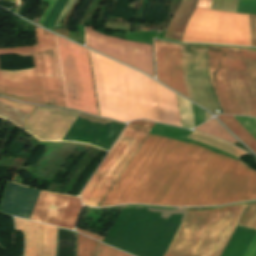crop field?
<instances>
[{
    "label": "crop field",
    "mask_w": 256,
    "mask_h": 256,
    "mask_svg": "<svg viewBox=\"0 0 256 256\" xmlns=\"http://www.w3.org/2000/svg\"><path fill=\"white\" fill-rule=\"evenodd\" d=\"M199 140L237 157L243 150L194 132ZM256 199V171L193 144L162 137L118 204L209 206Z\"/></svg>",
    "instance_id": "obj_1"
},
{
    "label": "crop field",
    "mask_w": 256,
    "mask_h": 256,
    "mask_svg": "<svg viewBox=\"0 0 256 256\" xmlns=\"http://www.w3.org/2000/svg\"><path fill=\"white\" fill-rule=\"evenodd\" d=\"M90 54L101 116L181 126L175 93L120 63Z\"/></svg>",
    "instance_id": "obj_2"
},
{
    "label": "crop field",
    "mask_w": 256,
    "mask_h": 256,
    "mask_svg": "<svg viewBox=\"0 0 256 256\" xmlns=\"http://www.w3.org/2000/svg\"><path fill=\"white\" fill-rule=\"evenodd\" d=\"M246 206L188 211L164 256H219Z\"/></svg>",
    "instance_id": "obj_3"
},
{
    "label": "crop field",
    "mask_w": 256,
    "mask_h": 256,
    "mask_svg": "<svg viewBox=\"0 0 256 256\" xmlns=\"http://www.w3.org/2000/svg\"><path fill=\"white\" fill-rule=\"evenodd\" d=\"M153 125L144 121L129 123L82 191L85 206L98 207Z\"/></svg>",
    "instance_id": "obj_4"
},
{
    "label": "crop field",
    "mask_w": 256,
    "mask_h": 256,
    "mask_svg": "<svg viewBox=\"0 0 256 256\" xmlns=\"http://www.w3.org/2000/svg\"><path fill=\"white\" fill-rule=\"evenodd\" d=\"M55 38L67 108L98 116L87 50Z\"/></svg>",
    "instance_id": "obj_5"
},
{
    "label": "crop field",
    "mask_w": 256,
    "mask_h": 256,
    "mask_svg": "<svg viewBox=\"0 0 256 256\" xmlns=\"http://www.w3.org/2000/svg\"><path fill=\"white\" fill-rule=\"evenodd\" d=\"M182 41L251 46L248 15L196 7Z\"/></svg>",
    "instance_id": "obj_6"
},
{
    "label": "crop field",
    "mask_w": 256,
    "mask_h": 256,
    "mask_svg": "<svg viewBox=\"0 0 256 256\" xmlns=\"http://www.w3.org/2000/svg\"><path fill=\"white\" fill-rule=\"evenodd\" d=\"M7 54L33 56L35 68L0 71V94L18 101L46 105L36 46L0 50V55Z\"/></svg>",
    "instance_id": "obj_7"
},
{
    "label": "crop field",
    "mask_w": 256,
    "mask_h": 256,
    "mask_svg": "<svg viewBox=\"0 0 256 256\" xmlns=\"http://www.w3.org/2000/svg\"><path fill=\"white\" fill-rule=\"evenodd\" d=\"M229 77L244 115L256 117V50L227 47Z\"/></svg>",
    "instance_id": "obj_8"
},
{
    "label": "crop field",
    "mask_w": 256,
    "mask_h": 256,
    "mask_svg": "<svg viewBox=\"0 0 256 256\" xmlns=\"http://www.w3.org/2000/svg\"><path fill=\"white\" fill-rule=\"evenodd\" d=\"M185 87L191 100L222 113L209 84L206 46L181 44Z\"/></svg>",
    "instance_id": "obj_9"
},
{
    "label": "crop field",
    "mask_w": 256,
    "mask_h": 256,
    "mask_svg": "<svg viewBox=\"0 0 256 256\" xmlns=\"http://www.w3.org/2000/svg\"><path fill=\"white\" fill-rule=\"evenodd\" d=\"M36 36L47 105L66 108L54 35L36 27Z\"/></svg>",
    "instance_id": "obj_10"
},
{
    "label": "crop field",
    "mask_w": 256,
    "mask_h": 256,
    "mask_svg": "<svg viewBox=\"0 0 256 256\" xmlns=\"http://www.w3.org/2000/svg\"><path fill=\"white\" fill-rule=\"evenodd\" d=\"M80 199L41 191L30 219L72 229Z\"/></svg>",
    "instance_id": "obj_11"
},
{
    "label": "crop field",
    "mask_w": 256,
    "mask_h": 256,
    "mask_svg": "<svg viewBox=\"0 0 256 256\" xmlns=\"http://www.w3.org/2000/svg\"><path fill=\"white\" fill-rule=\"evenodd\" d=\"M77 116L75 112L37 107L22 129L42 140H61Z\"/></svg>",
    "instance_id": "obj_12"
},
{
    "label": "crop field",
    "mask_w": 256,
    "mask_h": 256,
    "mask_svg": "<svg viewBox=\"0 0 256 256\" xmlns=\"http://www.w3.org/2000/svg\"><path fill=\"white\" fill-rule=\"evenodd\" d=\"M210 78L224 113L243 115L228 78L226 48L208 46Z\"/></svg>",
    "instance_id": "obj_13"
},
{
    "label": "crop field",
    "mask_w": 256,
    "mask_h": 256,
    "mask_svg": "<svg viewBox=\"0 0 256 256\" xmlns=\"http://www.w3.org/2000/svg\"><path fill=\"white\" fill-rule=\"evenodd\" d=\"M159 81L189 98L184 87L180 44L154 40Z\"/></svg>",
    "instance_id": "obj_14"
},
{
    "label": "crop field",
    "mask_w": 256,
    "mask_h": 256,
    "mask_svg": "<svg viewBox=\"0 0 256 256\" xmlns=\"http://www.w3.org/2000/svg\"><path fill=\"white\" fill-rule=\"evenodd\" d=\"M26 238L24 256H56L57 228L15 218Z\"/></svg>",
    "instance_id": "obj_15"
},
{
    "label": "crop field",
    "mask_w": 256,
    "mask_h": 256,
    "mask_svg": "<svg viewBox=\"0 0 256 256\" xmlns=\"http://www.w3.org/2000/svg\"><path fill=\"white\" fill-rule=\"evenodd\" d=\"M160 139V136L148 134L100 207L116 205Z\"/></svg>",
    "instance_id": "obj_16"
},
{
    "label": "crop field",
    "mask_w": 256,
    "mask_h": 256,
    "mask_svg": "<svg viewBox=\"0 0 256 256\" xmlns=\"http://www.w3.org/2000/svg\"><path fill=\"white\" fill-rule=\"evenodd\" d=\"M244 128L256 138V119L233 116ZM232 116L219 115V119L246 145L256 152V139L245 130Z\"/></svg>",
    "instance_id": "obj_17"
},
{
    "label": "crop field",
    "mask_w": 256,
    "mask_h": 256,
    "mask_svg": "<svg viewBox=\"0 0 256 256\" xmlns=\"http://www.w3.org/2000/svg\"><path fill=\"white\" fill-rule=\"evenodd\" d=\"M254 233L255 230L237 226L222 256H242Z\"/></svg>",
    "instance_id": "obj_18"
},
{
    "label": "crop field",
    "mask_w": 256,
    "mask_h": 256,
    "mask_svg": "<svg viewBox=\"0 0 256 256\" xmlns=\"http://www.w3.org/2000/svg\"><path fill=\"white\" fill-rule=\"evenodd\" d=\"M212 0H190L188 7L178 21L176 28L170 39L180 41L185 31L188 20L196 6L209 8L211 7Z\"/></svg>",
    "instance_id": "obj_19"
},
{
    "label": "crop field",
    "mask_w": 256,
    "mask_h": 256,
    "mask_svg": "<svg viewBox=\"0 0 256 256\" xmlns=\"http://www.w3.org/2000/svg\"><path fill=\"white\" fill-rule=\"evenodd\" d=\"M199 127V126H198ZM196 130L213 134L221 139H224L232 144L238 140L234 138L223 126H221L215 119L208 121Z\"/></svg>",
    "instance_id": "obj_20"
},
{
    "label": "crop field",
    "mask_w": 256,
    "mask_h": 256,
    "mask_svg": "<svg viewBox=\"0 0 256 256\" xmlns=\"http://www.w3.org/2000/svg\"><path fill=\"white\" fill-rule=\"evenodd\" d=\"M0 116L22 127L29 113L0 102Z\"/></svg>",
    "instance_id": "obj_21"
},
{
    "label": "crop field",
    "mask_w": 256,
    "mask_h": 256,
    "mask_svg": "<svg viewBox=\"0 0 256 256\" xmlns=\"http://www.w3.org/2000/svg\"><path fill=\"white\" fill-rule=\"evenodd\" d=\"M182 127H194L191 102L177 95Z\"/></svg>",
    "instance_id": "obj_22"
},
{
    "label": "crop field",
    "mask_w": 256,
    "mask_h": 256,
    "mask_svg": "<svg viewBox=\"0 0 256 256\" xmlns=\"http://www.w3.org/2000/svg\"><path fill=\"white\" fill-rule=\"evenodd\" d=\"M96 242L78 234L77 256H95Z\"/></svg>",
    "instance_id": "obj_23"
},
{
    "label": "crop field",
    "mask_w": 256,
    "mask_h": 256,
    "mask_svg": "<svg viewBox=\"0 0 256 256\" xmlns=\"http://www.w3.org/2000/svg\"><path fill=\"white\" fill-rule=\"evenodd\" d=\"M239 226L256 230V203L249 204L245 214L243 215Z\"/></svg>",
    "instance_id": "obj_24"
},
{
    "label": "crop field",
    "mask_w": 256,
    "mask_h": 256,
    "mask_svg": "<svg viewBox=\"0 0 256 256\" xmlns=\"http://www.w3.org/2000/svg\"><path fill=\"white\" fill-rule=\"evenodd\" d=\"M68 0H57V2L55 3L53 9L51 10V12L48 14L44 24H43V27H46L48 22L50 21V19L52 18L49 26H48V29H51L58 16L60 15L61 11L63 10V8L65 7L66 3H67Z\"/></svg>",
    "instance_id": "obj_25"
},
{
    "label": "crop field",
    "mask_w": 256,
    "mask_h": 256,
    "mask_svg": "<svg viewBox=\"0 0 256 256\" xmlns=\"http://www.w3.org/2000/svg\"><path fill=\"white\" fill-rule=\"evenodd\" d=\"M188 2H189V0H182V2H181V4H180V7H179V9H178V11H177L175 17L173 16L174 18H173L172 22L170 23V25H169V27H168L166 33H165V36H164L165 38H168V39L170 38V36H171V34H172V31H173V29H174V27H175V25H176V23H177L179 17L181 16V14L183 13V11L185 10V8H186Z\"/></svg>",
    "instance_id": "obj_26"
},
{
    "label": "crop field",
    "mask_w": 256,
    "mask_h": 256,
    "mask_svg": "<svg viewBox=\"0 0 256 256\" xmlns=\"http://www.w3.org/2000/svg\"><path fill=\"white\" fill-rule=\"evenodd\" d=\"M97 256H117V250L98 242Z\"/></svg>",
    "instance_id": "obj_27"
},
{
    "label": "crop field",
    "mask_w": 256,
    "mask_h": 256,
    "mask_svg": "<svg viewBox=\"0 0 256 256\" xmlns=\"http://www.w3.org/2000/svg\"><path fill=\"white\" fill-rule=\"evenodd\" d=\"M252 46H256V15H249Z\"/></svg>",
    "instance_id": "obj_28"
},
{
    "label": "crop field",
    "mask_w": 256,
    "mask_h": 256,
    "mask_svg": "<svg viewBox=\"0 0 256 256\" xmlns=\"http://www.w3.org/2000/svg\"><path fill=\"white\" fill-rule=\"evenodd\" d=\"M244 256H256V233L249 244Z\"/></svg>",
    "instance_id": "obj_29"
},
{
    "label": "crop field",
    "mask_w": 256,
    "mask_h": 256,
    "mask_svg": "<svg viewBox=\"0 0 256 256\" xmlns=\"http://www.w3.org/2000/svg\"><path fill=\"white\" fill-rule=\"evenodd\" d=\"M42 1L48 3L49 5H48L47 9L45 10L44 14L42 15V17L40 18L39 22H38V25H40V26L42 25L45 17L49 13L50 9L52 8V6L54 5L56 0H42Z\"/></svg>",
    "instance_id": "obj_30"
},
{
    "label": "crop field",
    "mask_w": 256,
    "mask_h": 256,
    "mask_svg": "<svg viewBox=\"0 0 256 256\" xmlns=\"http://www.w3.org/2000/svg\"><path fill=\"white\" fill-rule=\"evenodd\" d=\"M74 0H69L66 7L64 8L63 12L61 13L56 25L54 27H59L60 26V21L61 19L64 17V15L66 14V12L68 11V9L71 7L72 3Z\"/></svg>",
    "instance_id": "obj_31"
},
{
    "label": "crop field",
    "mask_w": 256,
    "mask_h": 256,
    "mask_svg": "<svg viewBox=\"0 0 256 256\" xmlns=\"http://www.w3.org/2000/svg\"><path fill=\"white\" fill-rule=\"evenodd\" d=\"M75 231H77L79 233H82L84 235H87L89 237H92V238H94V239H96V240H98L100 242H102V240H103V237L97 236L95 234H92V233H89V232H86V231H82V230H79V229H76V228H75Z\"/></svg>",
    "instance_id": "obj_32"
},
{
    "label": "crop field",
    "mask_w": 256,
    "mask_h": 256,
    "mask_svg": "<svg viewBox=\"0 0 256 256\" xmlns=\"http://www.w3.org/2000/svg\"><path fill=\"white\" fill-rule=\"evenodd\" d=\"M118 256H131L118 250Z\"/></svg>",
    "instance_id": "obj_33"
}]
</instances>
